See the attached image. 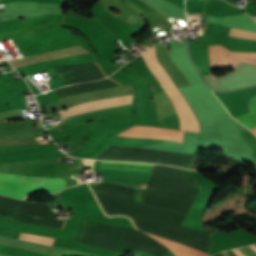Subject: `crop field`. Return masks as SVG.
<instances>
[{
  "mask_svg": "<svg viewBox=\"0 0 256 256\" xmlns=\"http://www.w3.org/2000/svg\"><path fill=\"white\" fill-rule=\"evenodd\" d=\"M210 70L227 69L236 65L239 60L229 50L217 45L209 47ZM230 74L217 78H205L204 81L217 91H231L256 86V66L240 62Z\"/></svg>",
  "mask_w": 256,
  "mask_h": 256,
  "instance_id": "1",
  "label": "crop field"
},
{
  "mask_svg": "<svg viewBox=\"0 0 256 256\" xmlns=\"http://www.w3.org/2000/svg\"><path fill=\"white\" fill-rule=\"evenodd\" d=\"M183 133L184 132L181 131L168 130L162 128L133 126L118 135L126 137L166 139L181 143Z\"/></svg>",
  "mask_w": 256,
  "mask_h": 256,
  "instance_id": "5",
  "label": "crop field"
},
{
  "mask_svg": "<svg viewBox=\"0 0 256 256\" xmlns=\"http://www.w3.org/2000/svg\"><path fill=\"white\" fill-rule=\"evenodd\" d=\"M38 124H39V126H40V121H38Z\"/></svg>",
  "mask_w": 256,
  "mask_h": 256,
  "instance_id": "19",
  "label": "crop field"
},
{
  "mask_svg": "<svg viewBox=\"0 0 256 256\" xmlns=\"http://www.w3.org/2000/svg\"><path fill=\"white\" fill-rule=\"evenodd\" d=\"M240 61L256 64V53H237L233 52Z\"/></svg>",
  "mask_w": 256,
  "mask_h": 256,
  "instance_id": "14",
  "label": "crop field"
},
{
  "mask_svg": "<svg viewBox=\"0 0 256 256\" xmlns=\"http://www.w3.org/2000/svg\"><path fill=\"white\" fill-rule=\"evenodd\" d=\"M130 100H133V95L82 103V104L72 106V107H69V108H66L63 110H59V113L61 114V116H63V115L70 114V113H73V112H76L79 110H83L86 108H90V107L102 106V105H107V104H111V103H119V102L130 101ZM108 106H110V105H108ZM97 108H99V107H97ZM91 109H94V108H91ZM86 110H90V109H86ZM86 110H83V111H86ZM79 112H82V111H79ZM76 113H78V112H76ZM73 114H75V113H73Z\"/></svg>",
  "mask_w": 256,
  "mask_h": 256,
  "instance_id": "9",
  "label": "crop field"
},
{
  "mask_svg": "<svg viewBox=\"0 0 256 256\" xmlns=\"http://www.w3.org/2000/svg\"><path fill=\"white\" fill-rule=\"evenodd\" d=\"M250 113L235 117L240 123L251 129L256 126V104L249 102Z\"/></svg>",
  "mask_w": 256,
  "mask_h": 256,
  "instance_id": "10",
  "label": "crop field"
},
{
  "mask_svg": "<svg viewBox=\"0 0 256 256\" xmlns=\"http://www.w3.org/2000/svg\"><path fill=\"white\" fill-rule=\"evenodd\" d=\"M229 35L238 37V38H249V39L256 40V32H250V31H244V30L230 28Z\"/></svg>",
  "mask_w": 256,
  "mask_h": 256,
  "instance_id": "13",
  "label": "crop field"
},
{
  "mask_svg": "<svg viewBox=\"0 0 256 256\" xmlns=\"http://www.w3.org/2000/svg\"><path fill=\"white\" fill-rule=\"evenodd\" d=\"M130 86V85H129ZM130 88H131V90H132V92H133V94H134V90L132 89V87L130 86Z\"/></svg>",
  "mask_w": 256,
  "mask_h": 256,
  "instance_id": "18",
  "label": "crop field"
},
{
  "mask_svg": "<svg viewBox=\"0 0 256 256\" xmlns=\"http://www.w3.org/2000/svg\"><path fill=\"white\" fill-rule=\"evenodd\" d=\"M153 166L154 165L142 163L100 161L99 172L103 174H128L151 176Z\"/></svg>",
  "mask_w": 256,
  "mask_h": 256,
  "instance_id": "4",
  "label": "crop field"
},
{
  "mask_svg": "<svg viewBox=\"0 0 256 256\" xmlns=\"http://www.w3.org/2000/svg\"><path fill=\"white\" fill-rule=\"evenodd\" d=\"M254 251H256V246L255 245H252L250 246Z\"/></svg>",
  "mask_w": 256,
  "mask_h": 256,
  "instance_id": "16",
  "label": "crop field"
},
{
  "mask_svg": "<svg viewBox=\"0 0 256 256\" xmlns=\"http://www.w3.org/2000/svg\"><path fill=\"white\" fill-rule=\"evenodd\" d=\"M64 188V179L0 174V194L19 199L36 190L57 192Z\"/></svg>",
  "mask_w": 256,
  "mask_h": 256,
  "instance_id": "2",
  "label": "crop field"
},
{
  "mask_svg": "<svg viewBox=\"0 0 256 256\" xmlns=\"http://www.w3.org/2000/svg\"><path fill=\"white\" fill-rule=\"evenodd\" d=\"M114 137L115 136L112 135L88 132L85 135V138H87L88 140L84 143V145L77 151V153L74 156L91 158L97 153H99L100 150Z\"/></svg>",
  "mask_w": 256,
  "mask_h": 256,
  "instance_id": "6",
  "label": "crop field"
},
{
  "mask_svg": "<svg viewBox=\"0 0 256 256\" xmlns=\"http://www.w3.org/2000/svg\"><path fill=\"white\" fill-rule=\"evenodd\" d=\"M46 141V142H50ZM44 142V143H46ZM42 143L39 137L30 138V139H9V140H0V146H12V145H32Z\"/></svg>",
  "mask_w": 256,
  "mask_h": 256,
  "instance_id": "11",
  "label": "crop field"
},
{
  "mask_svg": "<svg viewBox=\"0 0 256 256\" xmlns=\"http://www.w3.org/2000/svg\"><path fill=\"white\" fill-rule=\"evenodd\" d=\"M143 58L148 66V68L151 70V72L156 76V78L159 80L163 90L174 88L175 85L170 80L168 75L165 73V71L160 66L156 56L154 47L149 49L146 53H144Z\"/></svg>",
  "mask_w": 256,
  "mask_h": 256,
  "instance_id": "7",
  "label": "crop field"
},
{
  "mask_svg": "<svg viewBox=\"0 0 256 256\" xmlns=\"http://www.w3.org/2000/svg\"><path fill=\"white\" fill-rule=\"evenodd\" d=\"M251 131H253L256 134V128L251 129Z\"/></svg>",
  "mask_w": 256,
  "mask_h": 256,
  "instance_id": "17",
  "label": "crop field"
},
{
  "mask_svg": "<svg viewBox=\"0 0 256 256\" xmlns=\"http://www.w3.org/2000/svg\"><path fill=\"white\" fill-rule=\"evenodd\" d=\"M149 235L155 238L156 240H158L160 243H162L166 247H168L176 256H208L207 254L199 250L193 249L191 247L180 244L173 240L166 239V238L152 235V234H149Z\"/></svg>",
  "mask_w": 256,
  "mask_h": 256,
  "instance_id": "8",
  "label": "crop field"
},
{
  "mask_svg": "<svg viewBox=\"0 0 256 256\" xmlns=\"http://www.w3.org/2000/svg\"><path fill=\"white\" fill-rule=\"evenodd\" d=\"M256 20V17H253Z\"/></svg>",
  "mask_w": 256,
  "mask_h": 256,
  "instance_id": "20",
  "label": "crop field"
},
{
  "mask_svg": "<svg viewBox=\"0 0 256 256\" xmlns=\"http://www.w3.org/2000/svg\"><path fill=\"white\" fill-rule=\"evenodd\" d=\"M166 93L177 110L181 130L199 132L198 122L177 88L166 90Z\"/></svg>",
  "mask_w": 256,
  "mask_h": 256,
  "instance_id": "3",
  "label": "crop field"
},
{
  "mask_svg": "<svg viewBox=\"0 0 256 256\" xmlns=\"http://www.w3.org/2000/svg\"><path fill=\"white\" fill-rule=\"evenodd\" d=\"M237 256H244L238 249L233 250Z\"/></svg>",
  "mask_w": 256,
  "mask_h": 256,
  "instance_id": "15",
  "label": "crop field"
},
{
  "mask_svg": "<svg viewBox=\"0 0 256 256\" xmlns=\"http://www.w3.org/2000/svg\"><path fill=\"white\" fill-rule=\"evenodd\" d=\"M19 239H25L28 241H35L38 243L42 244H47V245H53V242L55 239L49 238V237H44L40 235H34V234H26V233H21Z\"/></svg>",
  "mask_w": 256,
  "mask_h": 256,
  "instance_id": "12",
  "label": "crop field"
}]
</instances>
